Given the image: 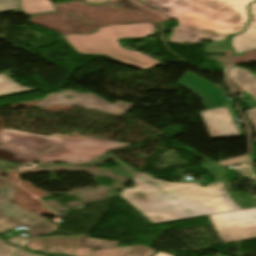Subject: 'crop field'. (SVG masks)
Returning <instances> with one entry per match:
<instances>
[{"label": "crop field", "mask_w": 256, "mask_h": 256, "mask_svg": "<svg viewBox=\"0 0 256 256\" xmlns=\"http://www.w3.org/2000/svg\"><path fill=\"white\" fill-rule=\"evenodd\" d=\"M156 32L151 23L116 25L99 29L90 35L68 34L63 36L72 47L82 54L108 55L125 64L142 69L156 67L162 64L138 52L128 51L120 47L119 38H142Z\"/></svg>", "instance_id": "obj_4"}, {"label": "crop field", "mask_w": 256, "mask_h": 256, "mask_svg": "<svg viewBox=\"0 0 256 256\" xmlns=\"http://www.w3.org/2000/svg\"><path fill=\"white\" fill-rule=\"evenodd\" d=\"M226 184H227V187H228V189H229V191H230V193H231L232 196L241 195L239 192L232 193L231 188H230V183H229V182H226Z\"/></svg>", "instance_id": "obj_24"}, {"label": "crop field", "mask_w": 256, "mask_h": 256, "mask_svg": "<svg viewBox=\"0 0 256 256\" xmlns=\"http://www.w3.org/2000/svg\"><path fill=\"white\" fill-rule=\"evenodd\" d=\"M12 11L13 13H21L18 8V0H0V13Z\"/></svg>", "instance_id": "obj_18"}, {"label": "crop field", "mask_w": 256, "mask_h": 256, "mask_svg": "<svg viewBox=\"0 0 256 256\" xmlns=\"http://www.w3.org/2000/svg\"><path fill=\"white\" fill-rule=\"evenodd\" d=\"M26 240L25 239H22V240H20V241H18V242H15V243H13L14 245H17V246H20L23 242H25Z\"/></svg>", "instance_id": "obj_27"}, {"label": "crop field", "mask_w": 256, "mask_h": 256, "mask_svg": "<svg viewBox=\"0 0 256 256\" xmlns=\"http://www.w3.org/2000/svg\"><path fill=\"white\" fill-rule=\"evenodd\" d=\"M249 8L252 21L249 23L244 33L235 35L231 39V45L236 54L256 48V2L251 4Z\"/></svg>", "instance_id": "obj_11"}, {"label": "crop field", "mask_w": 256, "mask_h": 256, "mask_svg": "<svg viewBox=\"0 0 256 256\" xmlns=\"http://www.w3.org/2000/svg\"><path fill=\"white\" fill-rule=\"evenodd\" d=\"M88 4H96V5H100V4H103L109 0H82Z\"/></svg>", "instance_id": "obj_22"}, {"label": "crop field", "mask_w": 256, "mask_h": 256, "mask_svg": "<svg viewBox=\"0 0 256 256\" xmlns=\"http://www.w3.org/2000/svg\"><path fill=\"white\" fill-rule=\"evenodd\" d=\"M29 91H34V90L24 88L16 84L4 74L0 75V97L29 92Z\"/></svg>", "instance_id": "obj_15"}, {"label": "crop field", "mask_w": 256, "mask_h": 256, "mask_svg": "<svg viewBox=\"0 0 256 256\" xmlns=\"http://www.w3.org/2000/svg\"><path fill=\"white\" fill-rule=\"evenodd\" d=\"M228 70L231 72L228 77L256 99V79L253 74L236 66Z\"/></svg>", "instance_id": "obj_12"}, {"label": "crop field", "mask_w": 256, "mask_h": 256, "mask_svg": "<svg viewBox=\"0 0 256 256\" xmlns=\"http://www.w3.org/2000/svg\"><path fill=\"white\" fill-rule=\"evenodd\" d=\"M186 150L192 152L193 154L201 157L204 160L202 168L212 177L216 178L215 182L223 181L225 180V173L223 167L220 165L210 161L209 159L205 158L201 154L197 153L196 151L190 149V148H185ZM214 183V182H212Z\"/></svg>", "instance_id": "obj_16"}, {"label": "crop field", "mask_w": 256, "mask_h": 256, "mask_svg": "<svg viewBox=\"0 0 256 256\" xmlns=\"http://www.w3.org/2000/svg\"><path fill=\"white\" fill-rule=\"evenodd\" d=\"M15 256H37V255H33V254L27 252L26 250L20 249V250H18V252L16 253Z\"/></svg>", "instance_id": "obj_23"}, {"label": "crop field", "mask_w": 256, "mask_h": 256, "mask_svg": "<svg viewBox=\"0 0 256 256\" xmlns=\"http://www.w3.org/2000/svg\"><path fill=\"white\" fill-rule=\"evenodd\" d=\"M154 256H171V255L159 251V252H158L157 254H155Z\"/></svg>", "instance_id": "obj_26"}, {"label": "crop field", "mask_w": 256, "mask_h": 256, "mask_svg": "<svg viewBox=\"0 0 256 256\" xmlns=\"http://www.w3.org/2000/svg\"><path fill=\"white\" fill-rule=\"evenodd\" d=\"M201 114L212 139L239 136L227 108L214 109Z\"/></svg>", "instance_id": "obj_9"}, {"label": "crop field", "mask_w": 256, "mask_h": 256, "mask_svg": "<svg viewBox=\"0 0 256 256\" xmlns=\"http://www.w3.org/2000/svg\"><path fill=\"white\" fill-rule=\"evenodd\" d=\"M219 236L225 243L256 238V226L220 231Z\"/></svg>", "instance_id": "obj_14"}, {"label": "crop field", "mask_w": 256, "mask_h": 256, "mask_svg": "<svg viewBox=\"0 0 256 256\" xmlns=\"http://www.w3.org/2000/svg\"><path fill=\"white\" fill-rule=\"evenodd\" d=\"M81 236H54L36 238L28 242V248L47 253H61L70 256H140L128 253L133 246L92 250L80 246ZM48 247V251H44ZM156 251L149 250L143 256H153Z\"/></svg>", "instance_id": "obj_6"}, {"label": "crop field", "mask_w": 256, "mask_h": 256, "mask_svg": "<svg viewBox=\"0 0 256 256\" xmlns=\"http://www.w3.org/2000/svg\"><path fill=\"white\" fill-rule=\"evenodd\" d=\"M233 199L243 208H251V207H256V199L252 195H247V196H237L233 197Z\"/></svg>", "instance_id": "obj_19"}, {"label": "crop field", "mask_w": 256, "mask_h": 256, "mask_svg": "<svg viewBox=\"0 0 256 256\" xmlns=\"http://www.w3.org/2000/svg\"><path fill=\"white\" fill-rule=\"evenodd\" d=\"M118 244L120 243L115 241H102V240L91 239V238H86L82 243L83 246H87L95 249L114 247V246H117Z\"/></svg>", "instance_id": "obj_17"}, {"label": "crop field", "mask_w": 256, "mask_h": 256, "mask_svg": "<svg viewBox=\"0 0 256 256\" xmlns=\"http://www.w3.org/2000/svg\"><path fill=\"white\" fill-rule=\"evenodd\" d=\"M20 6L29 16L55 11L49 0H20Z\"/></svg>", "instance_id": "obj_13"}, {"label": "crop field", "mask_w": 256, "mask_h": 256, "mask_svg": "<svg viewBox=\"0 0 256 256\" xmlns=\"http://www.w3.org/2000/svg\"><path fill=\"white\" fill-rule=\"evenodd\" d=\"M0 143V168L6 172H16L31 160L42 163L103 165L108 159L118 164V167L112 168L117 174L131 179L136 172V169L111 154L99 157L131 144L76 135L55 134L48 137L9 129L0 132Z\"/></svg>", "instance_id": "obj_2"}, {"label": "crop field", "mask_w": 256, "mask_h": 256, "mask_svg": "<svg viewBox=\"0 0 256 256\" xmlns=\"http://www.w3.org/2000/svg\"><path fill=\"white\" fill-rule=\"evenodd\" d=\"M53 227H54V226H53ZM53 227H52V228H49V229H46V230H44V231H42V232H40V233H37V234H35V235L31 236V237H27V239H30V238H32V237H35V236L39 235V234H42V233L48 232V231L52 230V229H53Z\"/></svg>", "instance_id": "obj_25"}, {"label": "crop field", "mask_w": 256, "mask_h": 256, "mask_svg": "<svg viewBox=\"0 0 256 256\" xmlns=\"http://www.w3.org/2000/svg\"><path fill=\"white\" fill-rule=\"evenodd\" d=\"M0 182L4 184L0 186V233L12 228L29 226L25 233L31 236L53 226L48 219L38 217L14 204L12 201L13 187L9 185L8 181L0 179Z\"/></svg>", "instance_id": "obj_5"}, {"label": "crop field", "mask_w": 256, "mask_h": 256, "mask_svg": "<svg viewBox=\"0 0 256 256\" xmlns=\"http://www.w3.org/2000/svg\"><path fill=\"white\" fill-rule=\"evenodd\" d=\"M15 250L16 247H13L0 240V256H11Z\"/></svg>", "instance_id": "obj_20"}, {"label": "crop field", "mask_w": 256, "mask_h": 256, "mask_svg": "<svg viewBox=\"0 0 256 256\" xmlns=\"http://www.w3.org/2000/svg\"><path fill=\"white\" fill-rule=\"evenodd\" d=\"M210 217L217 231L254 226L256 225V208L211 215Z\"/></svg>", "instance_id": "obj_10"}, {"label": "crop field", "mask_w": 256, "mask_h": 256, "mask_svg": "<svg viewBox=\"0 0 256 256\" xmlns=\"http://www.w3.org/2000/svg\"><path fill=\"white\" fill-rule=\"evenodd\" d=\"M66 94L74 97L72 100H68L66 98H63ZM74 94L79 95L81 97L74 96ZM82 98H85L83 100ZM55 103H62L82 108H87L115 116H121L126 111H128L130 108H132L134 105L124 103L117 101L113 103V105L100 97L94 95V94H79L75 91L67 90L64 93H58V94H50L46 98H44L42 101L37 103L35 106L37 107H45L49 104H55Z\"/></svg>", "instance_id": "obj_7"}, {"label": "crop field", "mask_w": 256, "mask_h": 256, "mask_svg": "<svg viewBox=\"0 0 256 256\" xmlns=\"http://www.w3.org/2000/svg\"><path fill=\"white\" fill-rule=\"evenodd\" d=\"M176 19L170 42L216 40L225 46V37L243 29L248 17L246 6L255 0H142ZM213 29L217 35H203Z\"/></svg>", "instance_id": "obj_3"}, {"label": "crop field", "mask_w": 256, "mask_h": 256, "mask_svg": "<svg viewBox=\"0 0 256 256\" xmlns=\"http://www.w3.org/2000/svg\"><path fill=\"white\" fill-rule=\"evenodd\" d=\"M247 116L256 128V109H250L247 111Z\"/></svg>", "instance_id": "obj_21"}, {"label": "crop field", "mask_w": 256, "mask_h": 256, "mask_svg": "<svg viewBox=\"0 0 256 256\" xmlns=\"http://www.w3.org/2000/svg\"><path fill=\"white\" fill-rule=\"evenodd\" d=\"M131 180L136 187L124 189L120 197L153 224L240 209L225 190L224 182L206 187L167 183L140 172Z\"/></svg>", "instance_id": "obj_1"}, {"label": "crop field", "mask_w": 256, "mask_h": 256, "mask_svg": "<svg viewBox=\"0 0 256 256\" xmlns=\"http://www.w3.org/2000/svg\"><path fill=\"white\" fill-rule=\"evenodd\" d=\"M177 84L200 97L205 108L225 105L222 91L218 87L189 71L186 72Z\"/></svg>", "instance_id": "obj_8"}]
</instances>
